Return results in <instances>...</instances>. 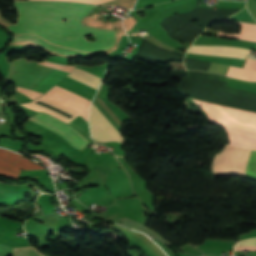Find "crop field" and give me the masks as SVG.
Listing matches in <instances>:
<instances>
[{
    "label": "crop field",
    "instance_id": "8a807250",
    "mask_svg": "<svg viewBox=\"0 0 256 256\" xmlns=\"http://www.w3.org/2000/svg\"><path fill=\"white\" fill-rule=\"evenodd\" d=\"M14 6L18 20L9 29L16 34L34 33L53 43L84 51L107 49L115 44L114 31L78 24L94 5L21 1ZM63 18L67 22L63 23ZM85 35H92L97 41H88Z\"/></svg>",
    "mask_w": 256,
    "mask_h": 256
},
{
    "label": "crop field",
    "instance_id": "ac0d7876",
    "mask_svg": "<svg viewBox=\"0 0 256 256\" xmlns=\"http://www.w3.org/2000/svg\"><path fill=\"white\" fill-rule=\"evenodd\" d=\"M195 101L205 107L212 122L226 127L231 145L256 149V112Z\"/></svg>",
    "mask_w": 256,
    "mask_h": 256
},
{
    "label": "crop field",
    "instance_id": "34b2d1b8",
    "mask_svg": "<svg viewBox=\"0 0 256 256\" xmlns=\"http://www.w3.org/2000/svg\"><path fill=\"white\" fill-rule=\"evenodd\" d=\"M68 76L75 78L79 81H82V82H84L92 87H95L97 89L102 80L101 78H99L95 75H92L84 70L78 69V68H74V70ZM68 76L66 78H64L63 80H61L57 85L65 88L69 91H72L76 94H79L89 100H92V98L96 92V89H94L86 84H83L75 79H72ZM51 90L65 96V97H68V98L84 105L85 107H87L89 109V105L91 103L90 101H88L74 93H71L67 90H64L56 85L54 87H52ZM51 90H49L45 95H43V97L79 113L86 121H88V112H89L88 109H86L84 106H82L68 98H65Z\"/></svg>",
    "mask_w": 256,
    "mask_h": 256
},
{
    "label": "crop field",
    "instance_id": "412701ff",
    "mask_svg": "<svg viewBox=\"0 0 256 256\" xmlns=\"http://www.w3.org/2000/svg\"><path fill=\"white\" fill-rule=\"evenodd\" d=\"M250 151L251 150L234 146H226L225 149L214 158L212 164L213 175L226 173L245 175ZM246 175L256 178V151L254 150H252L248 160Z\"/></svg>",
    "mask_w": 256,
    "mask_h": 256
},
{
    "label": "crop field",
    "instance_id": "f4fd0767",
    "mask_svg": "<svg viewBox=\"0 0 256 256\" xmlns=\"http://www.w3.org/2000/svg\"><path fill=\"white\" fill-rule=\"evenodd\" d=\"M29 119L47 127L65 138L70 144L81 150L89 141L68 124L45 113H38Z\"/></svg>",
    "mask_w": 256,
    "mask_h": 256
},
{
    "label": "crop field",
    "instance_id": "dd49c442",
    "mask_svg": "<svg viewBox=\"0 0 256 256\" xmlns=\"http://www.w3.org/2000/svg\"><path fill=\"white\" fill-rule=\"evenodd\" d=\"M90 128L92 137L100 142L116 141L123 143V138L119 131L93 104L90 113Z\"/></svg>",
    "mask_w": 256,
    "mask_h": 256
},
{
    "label": "crop field",
    "instance_id": "e52e79f7",
    "mask_svg": "<svg viewBox=\"0 0 256 256\" xmlns=\"http://www.w3.org/2000/svg\"><path fill=\"white\" fill-rule=\"evenodd\" d=\"M26 169H44L41 166L30 162L28 159L10 152L6 149H0V173L18 177L21 170Z\"/></svg>",
    "mask_w": 256,
    "mask_h": 256
},
{
    "label": "crop field",
    "instance_id": "d8731c3e",
    "mask_svg": "<svg viewBox=\"0 0 256 256\" xmlns=\"http://www.w3.org/2000/svg\"><path fill=\"white\" fill-rule=\"evenodd\" d=\"M51 67L39 65L36 63L34 82L32 90L42 80V78L49 72ZM69 72L61 71L52 68L50 72L43 78V80L36 86L35 91L44 94L46 93L57 81L64 78Z\"/></svg>",
    "mask_w": 256,
    "mask_h": 256
},
{
    "label": "crop field",
    "instance_id": "5a996713",
    "mask_svg": "<svg viewBox=\"0 0 256 256\" xmlns=\"http://www.w3.org/2000/svg\"><path fill=\"white\" fill-rule=\"evenodd\" d=\"M188 52L206 54V55H222L230 57H238L245 59L246 56L253 53L252 50H248L240 47L233 46H196L192 45Z\"/></svg>",
    "mask_w": 256,
    "mask_h": 256
},
{
    "label": "crop field",
    "instance_id": "3316defc",
    "mask_svg": "<svg viewBox=\"0 0 256 256\" xmlns=\"http://www.w3.org/2000/svg\"><path fill=\"white\" fill-rule=\"evenodd\" d=\"M19 41L33 42V43H35V44H37V45H39L43 48L49 49V50H51L53 52H56V53L65 54V55H74V54L88 55V54H90V53L77 52V51H73V50L53 46V45L47 43L46 41H44L42 38H40L37 35L15 36V40L13 42H19Z\"/></svg>",
    "mask_w": 256,
    "mask_h": 256
},
{
    "label": "crop field",
    "instance_id": "28ad6ade",
    "mask_svg": "<svg viewBox=\"0 0 256 256\" xmlns=\"http://www.w3.org/2000/svg\"><path fill=\"white\" fill-rule=\"evenodd\" d=\"M222 22H234V21L223 20ZM235 23L241 24V30L239 34H224L219 32L218 36L246 39V40H251L256 42V25L255 24H247L243 22H235Z\"/></svg>",
    "mask_w": 256,
    "mask_h": 256
},
{
    "label": "crop field",
    "instance_id": "d1516ede",
    "mask_svg": "<svg viewBox=\"0 0 256 256\" xmlns=\"http://www.w3.org/2000/svg\"><path fill=\"white\" fill-rule=\"evenodd\" d=\"M226 76H232L244 80L256 81V72L230 66Z\"/></svg>",
    "mask_w": 256,
    "mask_h": 256
},
{
    "label": "crop field",
    "instance_id": "22f410ed",
    "mask_svg": "<svg viewBox=\"0 0 256 256\" xmlns=\"http://www.w3.org/2000/svg\"><path fill=\"white\" fill-rule=\"evenodd\" d=\"M12 256H43L33 246L13 248Z\"/></svg>",
    "mask_w": 256,
    "mask_h": 256
},
{
    "label": "crop field",
    "instance_id": "cbeb9de0",
    "mask_svg": "<svg viewBox=\"0 0 256 256\" xmlns=\"http://www.w3.org/2000/svg\"><path fill=\"white\" fill-rule=\"evenodd\" d=\"M244 68L256 70V60L252 59L250 56L246 59Z\"/></svg>",
    "mask_w": 256,
    "mask_h": 256
},
{
    "label": "crop field",
    "instance_id": "5142ce71",
    "mask_svg": "<svg viewBox=\"0 0 256 256\" xmlns=\"http://www.w3.org/2000/svg\"><path fill=\"white\" fill-rule=\"evenodd\" d=\"M68 1H81V2L99 4V3H103V2H106V1H109V0H68Z\"/></svg>",
    "mask_w": 256,
    "mask_h": 256
},
{
    "label": "crop field",
    "instance_id": "d9b57169",
    "mask_svg": "<svg viewBox=\"0 0 256 256\" xmlns=\"http://www.w3.org/2000/svg\"><path fill=\"white\" fill-rule=\"evenodd\" d=\"M241 245H254V246H256V239L242 241V242L237 244V246H241Z\"/></svg>",
    "mask_w": 256,
    "mask_h": 256
},
{
    "label": "crop field",
    "instance_id": "733c2abd",
    "mask_svg": "<svg viewBox=\"0 0 256 256\" xmlns=\"http://www.w3.org/2000/svg\"><path fill=\"white\" fill-rule=\"evenodd\" d=\"M237 251H249V250H256V247L253 246H241V247H236Z\"/></svg>",
    "mask_w": 256,
    "mask_h": 256
},
{
    "label": "crop field",
    "instance_id": "4a817a6b",
    "mask_svg": "<svg viewBox=\"0 0 256 256\" xmlns=\"http://www.w3.org/2000/svg\"><path fill=\"white\" fill-rule=\"evenodd\" d=\"M46 256V255H45Z\"/></svg>",
    "mask_w": 256,
    "mask_h": 256
}]
</instances>
